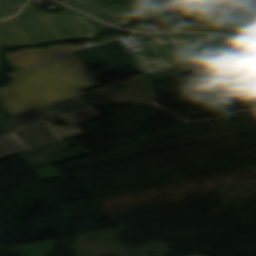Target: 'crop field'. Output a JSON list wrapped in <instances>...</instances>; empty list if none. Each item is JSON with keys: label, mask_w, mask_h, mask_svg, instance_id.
<instances>
[{"label": "crop field", "mask_w": 256, "mask_h": 256, "mask_svg": "<svg viewBox=\"0 0 256 256\" xmlns=\"http://www.w3.org/2000/svg\"><path fill=\"white\" fill-rule=\"evenodd\" d=\"M9 77L12 81L0 88V105L13 116L98 86L96 77L71 53Z\"/></svg>", "instance_id": "1"}, {"label": "crop field", "mask_w": 256, "mask_h": 256, "mask_svg": "<svg viewBox=\"0 0 256 256\" xmlns=\"http://www.w3.org/2000/svg\"><path fill=\"white\" fill-rule=\"evenodd\" d=\"M147 36L151 41L141 42L144 51L134 53L145 74L250 44L208 34H147ZM148 51L153 56L148 54Z\"/></svg>", "instance_id": "2"}, {"label": "crop field", "mask_w": 256, "mask_h": 256, "mask_svg": "<svg viewBox=\"0 0 256 256\" xmlns=\"http://www.w3.org/2000/svg\"><path fill=\"white\" fill-rule=\"evenodd\" d=\"M75 14V11L67 8L51 15L28 4L19 15L0 23V42L10 46H26L86 38V25L64 19Z\"/></svg>", "instance_id": "3"}, {"label": "crop field", "mask_w": 256, "mask_h": 256, "mask_svg": "<svg viewBox=\"0 0 256 256\" xmlns=\"http://www.w3.org/2000/svg\"><path fill=\"white\" fill-rule=\"evenodd\" d=\"M87 14L122 25L138 17H149L172 9L168 0H62Z\"/></svg>", "instance_id": "4"}, {"label": "crop field", "mask_w": 256, "mask_h": 256, "mask_svg": "<svg viewBox=\"0 0 256 256\" xmlns=\"http://www.w3.org/2000/svg\"><path fill=\"white\" fill-rule=\"evenodd\" d=\"M72 54L98 78L112 71L118 74L142 71L133 54L118 40Z\"/></svg>", "instance_id": "5"}, {"label": "crop field", "mask_w": 256, "mask_h": 256, "mask_svg": "<svg viewBox=\"0 0 256 256\" xmlns=\"http://www.w3.org/2000/svg\"><path fill=\"white\" fill-rule=\"evenodd\" d=\"M219 59L225 61L228 64V66L226 65L227 68L237 78L235 80L228 82L230 84L227 86H229L230 88L238 92H241L245 89L252 87V85L244 81L256 75V61L233 50H230L212 57L193 61V62L184 64L178 67H174L171 69H167L158 73H154L149 76L160 81L163 79L180 75L183 72L188 71L192 68L202 66Z\"/></svg>", "instance_id": "6"}, {"label": "crop field", "mask_w": 256, "mask_h": 256, "mask_svg": "<svg viewBox=\"0 0 256 256\" xmlns=\"http://www.w3.org/2000/svg\"><path fill=\"white\" fill-rule=\"evenodd\" d=\"M89 154L82 147H68L53 144L36 150L20 153L17 156L33 171Z\"/></svg>", "instance_id": "7"}, {"label": "crop field", "mask_w": 256, "mask_h": 256, "mask_svg": "<svg viewBox=\"0 0 256 256\" xmlns=\"http://www.w3.org/2000/svg\"><path fill=\"white\" fill-rule=\"evenodd\" d=\"M66 51L68 49L63 44H60L47 48H26L13 52H3V54L9 67L14 72Z\"/></svg>", "instance_id": "8"}, {"label": "crop field", "mask_w": 256, "mask_h": 256, "mask_svg": "<svg viewBox=\"0 0 256 256\" xmlns=\"http://www.w3.org/2000/svg\"><path fill=\"white\" fill-rule=\"evenodd\" d=\"M89 107L88 103L79 96L72 99H68L62 102L44 106L17 116L13 118L19 123L21 127H24L38 119L56 116L67 112L83 109ZM39 121V120H38Z\"/></svg>", "instance_id": "9"}, {"label": "crop field", "mask_w": 256, "mask_h": 256, "mask_svg": "<svg viewBox=\"0 0 256 256\" xmlns=\"http://www.w3.org/2000/svg\"><path fill=\"white\" fill-rule=\"evenodd\" d=\"M174 31H205V32L232 35V36L243 38L237 35L236 33L230 31L229 29L221 26L219 23H217L208 15H202L187 24H184L175 28H171L163 32H174Z\"/></svg>", "instance_id": "10"}, {"label": "crop field", "mask_w": 256, "mask_h": 256, "mask_svg": "<svg viewBox=\"0 0 256 256\" xmlns=\"http://www.w3.org/2000/svg\"><path fill=\"white\" fill-rule=\"evenodd\" d=\"M33 149L46 146L56 141L50 134L41 126L40 123H35L17 132Z\"/></svg>", "instance_id": "11"}, {"label": "crop field", "mask_w": 256, "mask_h": 256, "mask_svg": "<svg viewBox=\"0 0 256 256\" xmlns=\"http://www.w3.org/2000/svg\"><path fill=\"white\" fill-rule=\"evenodd\" d=\"M32 148L16 133L0 138V160Z\"/></svg>", "instance_id": "12"}, {"label": "crop field", "mask_w": 256, "mask_h": 256, "mask_svg": "<svg viewBox=\"0 0 256 256\" xmlns=\"http://www.w3.org/2000/svg\"><path fill=\"white\" fill-rule=\"evenodd\" d=\"M229 28L238 32L256 26V9L245 13L235 19L224 23Z\"/></svg>", "instance_id": "13"}, {"label": "crop field", "mask_w": 256, "mask_h": 256, "mask_svg": "<svg viewBox=\"0 0 256 256\" xmlns=\"http://www.w3.org/2000/svg\"><path fill=\"white\" fill-rule=\"evenodd\" d=\"M66 20L71 21V22H76V23L87 24V36H88V38H91L92 36L95 35V33L100 32V31L109 27L107 25L99 23L95 20H92V19L87 18L85 16H82L80 14H77L75 16L66 18Z\"/></svg>", "instance_id": "14"}, {"label": "crop field", "mask_w": 256, "mask_h": 256, "mask_svg": "<svg viewBox=\"0 0 256 256\" xmlns=\"http://www.w3.org/2000/svg\"><path fill=\"white\" fill-rule=\"evenodd\" d=\"M26 1L27 0H0V20L17 13Z\"/></svg>", "instance_id": "15"}, {"label": "crop field", "mask_w": 256, "mask_h": 256, "mask_svg": "<svg viewBox=\"0 0 256 256\" xmlns=\"http://www.w3.org/2000/svg\"><path fill=\"white\" fill-rule=\"evenodd\" d=\"M223 3L244 10L246 12L256 8V0H225Z\"/></svg>", "instance_id": "16"}, {"label": "crop field", "mask_w": 256, "mask_h": 256, "mask_svg": "<svg viewBox=\"0 0 256 256\" xmlns=\"http://www.w3.org/2000/svg\"><path fill=\"white\" fill-rule=\"evenodd\" d=\"M19 126V125H18ZM17 124L12 120L11 117L0 120V135H4L8 132H11L15 129H18L19 127Z\"/></svg>", "instance_id": "17"}, {"label": "crop field", "mask_w": 256, "mask_h": 256, "mask_svg": "<svg viewBox=\"0 0 256 256\" xmlns=\"http://www.w3.org/2000/svg\"><path fill=\"white\" fill-rule=\"evenodd\" d=\"M35 173L38 176H40L43 180L59 177L50 167L35 171Z\"/></svg>", "instance_id": "18"}, {"label": "crop field", "mask_w": 256, "mask_h": 256, "mask_svg": "<svg viewBox=\"0 0 256 256\" xmlns=\"http://www.w3.org/2000/svg\"><path fill=\"white\" fill-rule=\"evenodd\" d=\"M238 33L243 35L244 37L256 42V27L245 30V31H241V32H238Z\"/></svg>", "instance_id": "19"}, {"label": "crop field", "mask_w": 256, "mask_h": 256, "mask_svg": "<svg viewBox=\"0 0 256 256\" xmlns=\"http://www.w3.org/2000/svg\"><path fill=\"white\" fill-rule=\"evenodd\" d=\"M193 1H196L198 3H201L203 5L210 7L221 0H193Z\"/></svg>", "instance_id": "20"}, {"label": "crop field", "mask_w": 256, "mask_h": 256, "mask_svg": "<svg viewBox=\"0 0 256 256\" xmlns=\"http://www.w3.org/2000/svg\"><path fill=\"white\" fill-rule=\"evenodd\" d=\"M87 43H90L91 45L96 44V43L93 42V41H87V42L84 43V44H87ZM84 44H81V45H65V46H66L69 50H72V49H77V48L84 47Z\"/></svg>", "instance_id": "21"}, {"label": "crop field", "mask_w": 256, "mask_h": 256, "mask_svg": "<svg viewBox=\"0 0 256 256\" xmlns=\"http://www.w3.org/2000/svg\"><path fill=\"white\" fill-rule=\"evenodd\" d=\"M4 71H5V68H4V65H3V62H2V58H1V55H0V74L4 73Z\"/></svg>", "instance_id": "22"}, {"label": "crop field", "mask_w": 256, "mask_h": 256, "mask_svg": "<svg viewBox=\"0 0 256 256\" xmlns=\"http://www.w3.org/2000/svg\"><path fill=\"white\" fill-rule=\"evenodd\" d=\"M0 47L1 48H6V49H13V47H9V46H7L5 44H2V43H0Z\"/></svg>", "instance_id": "23"}, {"label": "crop field", "mask_w": 256, "mask_h": 256, "mask_svg": "<svg viewBox=\"0 0 256 256\" xmlns=\"http://www.w3.org/2000/svg\"><path fill=\"white\" fill-rule=\"evenodd\" d=\"M4 50H6V49H1V48H0V52H1V51H4Z\"/></svg>", "instance_id": "24"}]
</instances>
